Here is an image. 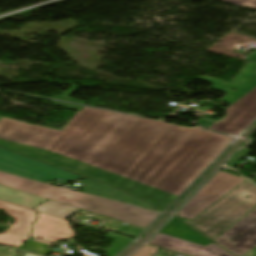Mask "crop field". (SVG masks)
Returning <instances> with one entry per match:
<instances>
[{"instance_id": "obj_22", "label": "crop field", "mask_w": 256, "mask_h": 256, "mask_svg": "<svg viewBox=\"0 0 256 256\" xmlns=\"http://www.w3.org/2000/svg\"><path fill=\"white\" fill-rule=\"evenodd\" d=\"M246 60L256 62V50L247 56Z\"/></svg>"}, {"instance_id": "obj_26", "label": "crop field", "mask_w": 256, "mask_h": 256, "mask_svg": "<svg viewBox=\"0 0 256 256\" xmlns=\"http://www.w3.org/2000/svg\"><path fill=\"white\" fill-rule=\"evenodd\" d=\"M1 118V117H0Z\"/></svg>"}, {"instance_id": "obj_19", "label": "crop field", "mask_w": 256, "mask_h": 256, "mask_svg": "<svg viewBox=\"0 0 256 256\" xmlns=\"http://www.w3.org/2000/svg\"><path fill=\"white\" fill-rule=\"evenodd\" d=\"M248 151L247 149L240 150L236 155H234L226 164L229 166L234 167L240 160H242L246 155Z\"/></svg>"}, {"instance_id": "obj_2", "label": "crop field", "mask_w": 256, "mask_h": 256, "mask_svg": "<svg viewBox=\"0 0 256 256\" xmlns=\"http://www.w3.org/2000/svg\"><path fill=\"white\" fill-rule=\"evenodd\" d=\"M0 184L146 228L160 213L0 172Z\"/></svg>"}, {"instance_id": "obj_5", "label": "crop field", "mask_w": 256, "mask_h": 256, "mask_svg": "<svg viewBox=\"0 0 256 256\" xmlns=\"http://www.w3.org/2000/svg\"><path fill=\"white\" fill-rule=\"evenodd\" d=\"M0 171L45 183L49 182L51 179L73 181L82 178L1 148Z\"/></svg>"}, {"instance_id": "obj_15", "label": "crop field", "mask_w": 256, "mask_h": 256, "mask_svg": "<svg viewBox=\"0 0 256 256\" xmlns=\"http://www.w3.org/2000/svg\"><path fill=\"white\" fill-rule=\"evenodd\" d=\"M105 237L115 239L113 243L110 244L112 246L109 250L105 252L108 256H116L118 255L124 248H126L133 240L112 235L108 233Z\"/></svg>"}, {"instance_id": "obj_13", "label": "crop field", "mask_w": 256, "mask_h": 256, "mask_svg": "<svg viewBox=\"0 0 256 256\" xmlns=\"http://www.w3.org/2000/svg\"><path fill=\"white\" fill-rule=\"evenodd\" d=\"M46 198L0 185V200L33 208Z\"/></svg>"}, {"instance_id": "obj_11", "label": "crop field", "mask_w": 256, "mask_h": 256, "mask_svg": "<svg viewBox=\"0 0 256 256\" xmlns=\"http://www.w3.org/2000/svg\"><path fill=\"white\" fill-rule=\"evenodd\" d=\"M80 186L84 187L81 191L121 200L124 202L132 203V204L143 206L150 209H154L151 205L146 204L112 186L106 185L104 183L92 181L88 178L84 179Z\"/></svg>"}, {"instance_id": "obj_24", "label": "crop field", "mask_w": 256, "mask_h": 256, "mask_svg": "<svg viewBox=\"0 0 256 256\" xmlns=\"http://www.w3.org/2000/svg\"><path fill=\"white\" fill-rule=\"evenodd\" d=\"M245 256H256V248L253 249L252 251H250L248 254H246Z\"/></svg>"}, {"instance_id": "obj_6", "label": "crop field", "mask_w": 256, "mask_h": 256, "mask_svg": "<svg viewBox=\"0 0 256 256\" xmlns=\"http://www.w3.org/2000/svg\"><path fill=\"white\" fill-rule=\"evenodd\" d=\"M245 179L219 171L178 213L177 217L192 220Z\"/></svg>"}, {"instance_id": "obj_7", "label": "crop field", "mask_w": 256, "mask_h": 256, "mask_svg": "<svg viewBox=\"0 0 256 256\" xmlns=\"http://www.w3.org/2000/svg\"><path fill=\"white\" fill-rule=\"evenodd\" d=\"M217 244L242 256L256 246V207L214 240Z\"/></svg>"}, {"instance_id": "obj_9", "label": "crop field", "mask_w": 256, "mask_h": 256, "mask_svg": "<svg viewBox=\"0 0 256 256\" xmlns=\"http://www.w3.org/2000/svg\"><path fill=\"white\" fill-rule=\"evenodd\" d=\"M149 244L159 245L189 256H233L216 244L206 247L158 233Z\"/></svg>"}, {"instance_id": "obj_10", "label": "crop field", "mask_w": 256, "mask_h": 256, "mask_svg": "<svg viewBox=\"0 0 256 256\" xmlns=\"http://www.w3.org/2000/svg\"><path fill=\"white\" fill-rule=\"evenodd\" d=\"M39 217L34 225L33 237L56 240L71 237L72 231L68 228V222L39 213Z\"/></svg>"}, {"instance_id": "obj_4", "label": "crop field", "mask_w": 256, "mask_h": 256, "mask_svg": "<svg viewBox=\"0 0 256 256\" xmlns=\"http://www.w3.org/2000/svg\"><path fill=\"white\" fill-rule=\"evenodd\" d=\"M255 206L256 187L246 180L195 219L185 222L214 240Z\"/></svg>"}, {"instance_id": "obj_8", "label": "crop field", "mask_w": 256, "mask_h": 256, "mask_svg": "<svg viewBox=\"0 0 256 256\" xmlns=\"http://www.w3.org/2000/svg\"><path fill=\"white\" fill-rule=\"evenodd\" d=\"M0 209H3L16 220V224L10 227L3 235L0 234V244L17 247L27 240L30 234L31 224L36 215L30 210L16 207L10 204L0 202Z\"/></svg>"}, {"instance_id": "obj_3", "label": "crop field", "mask_w": 256, "mask_h": 256, "mask_svg": "<svg viewBox=\"0 0 256 256\" xmlns=\"http://www.w3.org/2000/svg\"><path fill=\"white\" fill-rule=\"evenodd\" d=\"M198 79L213 83L210 88L228 93L219 101L232 104L227 110L221 108L226 110L225 117L209 130L237 135L256 118V63L250 62L230 83L207 76ZM202 103L220 108L207 100Z\"/></svg>"}, {"instance_id": "obj_21", "label": "crop field", "mask_w": 256, "mask_h": 256, "mask_svg": "<svg viewBox=\"0 0 256 256\" xmlns=\"http://www.w3.org/2000/svg\"><path fill=\"white\" fill-rule=\"evenodd\" d=\"M52 104L59 105V106H62V107H66V108H70V109L77 110V111H81L82 108H83V106H79V105H75V104H69V103H63V102H57V101H53Z\"/></svg>"}, {"instance_id": "obj_23", "label": "crop field", "mask_w": 256, "mask_h": 256, "mask_svg": "<svg viewBox=\"0 0 256 256\" xmlns=\"http://www.w3.org/2000/svg\"><path fill=\"white\" fill-rule=\"evenodd\" d=\"M19 256H38V255H34V254L26 253V252H21V253H19Z\"/></svg>"}, {"instance_id": "obj_25", "label": "crop field", "mask_w": 256, "mask_h": 256, "mask_svg": "<svg viewBox=\"0 0 256 256\" xmlns=\"http://www.w3.org/2000/svg\"><path fill=\"white\" fill-rule=\"evenodd\" d=\"M8 251L13 255V256H16V249L14 248H7Z\"/></svg>"}, {"instance_id": "obj_14", "label": "crop field", "mask_w": 256, "mask_h": 256, "mask_svg": "<svg viewBox=\"0 0 256 256\" xmlns=\"http://www.w3.org/2000/svg\"><path fill=\"white\" fill-rule=\"evenodd\" d=\"M36 210L46 212L52 215L60 216L62 218H69L71 215L76 213L79 209L72 208L69 206H65L59 203L52 202L50 200L45 203L39 205Z\"/></svg>"}, {"instance_id": "obj_18", "label": "crop field", "mask_w": 256, "mask_h": 256, "mask_svg": "<svg viewBox=\"0 0 256 256\" xmlns=\"http://www.w3.org/2000/svg\"><path fill=\"white\" fill-rule=\"evenodd\" d=\"M221 1L256 9V0H221Z\"/></svg>"}, {"instance_id": "obj_1", "label": "crop field", "mask_w": 256, "mask_h": 256, "mask_svg": "<svg viewBox=\"0 0 256 256\" xmlns=\"http://www.w3.org/2000/svg\"><path fill=\"white\" fill-rule=\"evenodd\" d=\"M234 138L84 107L61 130L2 117L0 145L107 182L163 211Z\"/></svg>"}, {"instance_id": "obj_20", "label": "crop field", "mask_w": 256, "mask_h": 256, "mask_svg": "<svg viewBox=\"0 0 256 256\" xmlns=\"http://www.w3.org/2000/svg\"><path fill=\"white\" fill-rule=\"evenodd\" d=\"M157 248L144 246L140 250H138L134 255L132 256H151L153 252H155ZM158 251V250H157Z\"/></svg>"}, {"instance_id": "obj_17", "label": "crop field", "mask_w": 256, "mask_h": 256, "mask_svg": "<svg viewBox=\"0 0 256 256\" xmlns=\"http://www.w3.org/2000/svg\"><path fill=\"white\" fill-rule=\"evenodd\" d=\"M77 89H78V87L72 86L65 93H63L61 96L56 97V98L57 99H61V100H66V101H71V102L85 104L84 101H80V100L69 98Z\"/></svg>"}, {"instance_id": "obj_16", "label": "crop field", "mask_w": 256, "mask_h": 256, "mask_svg": "<svg viewBox=\"0 0 256 256\" xmlns=\"http://www.w3.org/2000/svg\"><path fill=\"white\" fill-rule=\"evenodd\" d=\"M51 245L52 243L31 238V240L27 242L25 245H23L22 247H20V249H24L27 251L35 252V253L46 256L48 255V252H47V249H44V248L45 246L50 247Z\"/></svg>"}, {"instance_id": "obj_12", "label": "crop field", "mask_w": 256, "mask_h": 256, "mask_svg": "<svg viewBox=\"0 0 256 256\" xmlns=\"http://www.w3.org/2000/svg\"><path fill=\"white\" fill-rule=\"evenodd\" d=\"M160 233H164L204 246L210 243V240L200 236L201 234L199 235L196 231H194L175 217H173L166 224V226L160 231Z\"/></svg>"}]
</instances>
